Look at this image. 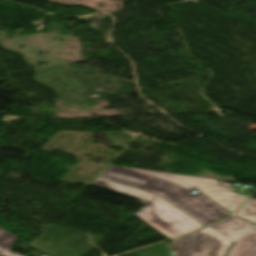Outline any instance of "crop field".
Returning <instances> with one entry per match:
<instances>
[{"label":"crop field","instance_id":"crop-field-1","mask_svg":"<svg viewBox=\"0 0 256 256\" xmlns=\"http://www.w3.org/2000/svg\"><path fill=\"white\" fill-rule=\"evenodd\" d=\"M99 177L158 194L205 226L230 214L201 193L191 195L187 191L197 188L230 212L247 198L214 179L118 166H110Z\"/></svg>","mask_w":256,"mask_h":256},{"label":"crop field","instance_id":"crop-field-2","mask_svg":"<svg viewBox=\"0 0 256 256\" xmlns=\"http://www.w3.org/2000/svg\"><path fill=\"white\" fill-rule=\"evenodd\" d=\"M91 185L102 187L125 196L148 202L136 215L154 229L171 239L203 227L201 224L155 194L95 179Z\"/></svg>","mask_w":256,"mask_h":256},{"label":"crop field","instance_id":"crop-field-3","mask_svg":"<svg viewBox=\"0 0 256 256\" xmlns=\"http://www.w3.org/2000/svg\"><path fill=\"white\" fill-rule=\"evenodd\" d=\"M247 221L229 217L187 237L172 242L176 256H224Z\"/></svg>","mask_w":256,"mask_h":256},{"label":"crop field","instance_id":"crop-field-4","mask_svg":"<svg viewBox=\"0 0 256 256\" xmlns=\"http://www.w3.org/2000/svg\"><path fill=\"white\" fill-rule=\"evenodd\" d=\"M226 256H256V224L247 223Z\"/></svg>","mask_w":256,"mask_h":256},{"label":"crop field","instance_id":"crop-field-5","mask_svg":"<svg viewBox=\"0 0 256 256\" xmlns=\"http://www.w3.org/2000/svg\"><path fill=\"white\" fill-rule=\"evenodd\" d=\"M16 236L7 232L6 230L0 227V255L3 256H20L11 251H8L11 245L16 240Z\"/></svg>","mask_w":256,"mask_h":256},{"label":"crop field","instance_id":"crop-field-6","mask_svg":"<svg viewBox=\"0 0 256 256\" xmlns=\"http://www.w3.org/2000/svg\"><path fill=\"white\" fill-rule=\"evenodd\" d=\"M235 215L256 222V199L250 198L249 201L235 213Z\"/></svg>","mask_w":256,"mask_h":256}]
</instances>
